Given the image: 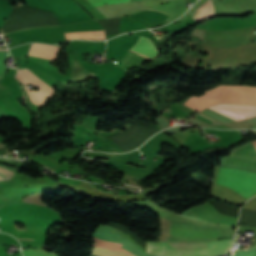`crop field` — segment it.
Returning a JSON list of instances; mask_svg holds the SVG:
<instances>
[{
    "label": "crop field",
    "instance_id": "crop-field-1",
    "mask_svg": "<svg viewBox=\"0 0 256 256\" xmlns=\"http://www.w3.org/2000/svg\"><path fill=\"white\" fill-rule=\"evenodd\" d=\"M233 239L206 243L151 242L147 252L157 256H214L228 252Z\"/></svg>",
    "mask_w": 256,
    "mask_h": 256
},
{
    "label": "crop field",
    "instance_id": "crop-field-2",
    "mask_svg": "<svg viewBox=\"0 0 256 256\" xmlns=\"http://www.w3.org/2000/svg\"><path fill=\"white\" fill-rule=\"evenodd\" d=\"M217 184L230 187L246 199L256 193V173L220 167Z\"/></svg>",
    "mask_w": 256,
    "mask_h": 256
},
{
    "label": "crop field",
    "instance_id": "crop-field-3",
    "mask_svg": "<svg viewBox=\"0 0 256 256\" xmlns=\"http://www.w3.org/2000/svg\"><path fill=\"white\" fill-rule=\"evenodd\" d=\"M18 70V74H17V78L19 79V81L22 84H31L33 86H35L36 88H38V91H29L27 89L26 86H24L26 92L48 102V98L49 97H53V95L55 94L54 92V88L50 87L49 85H47L45 82H43L40 78H38L35 74H33L28 68H17ZM29 98L31 100V102H33L34 104L38 105V106H42L43 104H45V102L29 95Z\"/></svg>",
    "mask_w": 256,
    "mask_h": 256
},
{
    "label": "crop field",
    "instance_id": "crop-field-4",
    "mask_svg": "<svg viewBox=\"0 0 256 256\" xmlns=\"http://www.w3.org/2000/svg\"><path fill=\"white\" fill-rule=\"evenodd\" d=\"M132 49L136 50V51H139L143 54H146L150 57H156L158 56V51L157 49L155 48V46L153 45V43L150 41V39L148 38H145V37H142L140 36L139 40L137 41V43L132 47ZM130 49V51L132 52H135L137 54H140L142 56H145L147 58H150L146 55H143L139 52H136L134 50ZM128 51L125 56L123 57L122 61L118 64L120 67H122L123 69H125L126 71L149 60L145 57H142L140 55H137L135 53H132ZM124 70V71H125Z\"/></svg>",
    "mask_w": 256,
    "mask_h": 256
},
{
    "label": "crop field",
    "instance_id": "crop-field-5",
    "mask_svg": "<svg viewBox=\"0 0 256 256\" xmlns=\"http://www.w3.org/2000/svg\"><path fill=\"white\" fill-rule=\"evenodd\" d=\"M209 108L237 121L256 116V106L239 104H217Z\"/></svg>",
    "mask_w": 256,
    "mask_h": 256
},
{
    "label": "crop field",
    "instance_id": "crop-field-6",
    "mask_svg": "<svg viewBox=\"0 0 256 256\" xmlns=\"http://www.w3.org/2000/svg\"><path fill=\"white\" fill-rule=\"evenodd\" d=\"M96 8L107 18L121 17L139 11L135 2L98 6Z\"/></svg>",
    "mask_w": 256,
    "mask_h": 256
},
{
    "label": "crop field",
    "instance_id": "crop-field-7",
    "mask_svg": "<svg viewBox=\"0 0 256 256\" xmlns=\"http://www.w3.org/2000/svg\"><path fill=\"white\" fill-rule=\"evenodd\" d=\"M94 239L96 240V242L94 244L96 246L103 247V248H106V249H111V250L127 252L126 250H124L121 247L122 244L102 241V240H99L97 238H94ZM99 247L94 246L93 251L91 253L92 256H134L130 253L110 251V250L102 249V248H99Z\"/></svg>",
    "mask_w": 256,
    "mask_h": 256
},
{
    "label": "crop field",
    "instance_id": "crop-field-8",
    "mask_svg": "<svg viewBox=\"0 0 256 256\" xmlns=\"http://www.w3.org/2000/svg\"><path fill=\"white\" fill-rule=\"evenodd\" d=\"M60 47L33 44L28 56L32 58L55 61Z\"/></svg>",
    "mask_w": 256,
    "mask_h": 256
},
{
    "label": "crop field",
    "instance_id": "crop-field-9",
    "mask_svg": "<svg viewBox=\"0 0 256 256\" xmlns=\"http://www.w3.org/2000/svg\"><path fill=\"white\" fill-rule=\"evenodd\" d=\"M250 29L251 28L221 32L206 31L205 40L250 38Z\"/></svg>",
    "mask_w": 256,
    "mask_h": 256
},
{
    "label": "crop field",
    "instance_id": "crop-field-10",
    "mask_svg": "<svg viewBox=\"0 0 256 256\" xmlns=\"http://www.w3.org/2000/svg\"><path fill=\"white\" fill-rule=\"evenodd\" d=\"M171 234L183 237H217V231L192 230L175 225L171 226Z\"/></svg>",
    "mask_w": 256,
    "mask_h": 256
},
{
    "label": "crop field",
    "instance_id": "crop-field-11",
    "mask_svg": "<svg viewBox=\"0 0 256 256\" xmlns=\"http://www.w3.org/2000/svg\"><path fill=\"white\" fill-rule=\"evenodd\" d=\"M196 13L192 18L200 22L214 15V6L212 0L204 3L198 9L194 11Z\"/></svg>",
    "mask_w": 256,
    "mask_h": 256
},
{
    "label": "crop field",
    "instance_id": "crop-field-12",
    "mask_svg": "<svg viewBox=\"0 0 256 256\" xmlns=\"http://www.w3.org/2000/svg\"><path fill=\"white\" fill-rule=\"evenodd\" d=\"M24 256H57L46 251L39 250H26L24 251Z\"/></svg>",
    "mask_w": 256,
    "mask_h": 256
},
{
    "label": "crop field",
    "instance_id": "crop-field-13",
    "mask_svg": "<svg viewBox=\"0 0 256 256\" xmlns=\"http://www.w3.org/2000/svg\"><path fill=\"white\" fill-rule=\"evenodd\" d=\"M15 172L0 167V182L9 181Z\"/></svg>",
    "mask_w": 256,
    "mask_h": 256
},
{
    "label": "crop field",
    "instance_id": "crop-field-14",
    "mask_svg": "<svg viewBox=\"0 0 256 256\" xmlns=\"http://www.w3.org/2000/svg\"><path fill=\"white\" fill-rule=\"evenodd\" d=\"M8 51H0V79L6 71L4 61L7 57Z\"/></svg>",
    "mask_w": 256,
    "mask_h": 256
},
{
    "label": "crop field",
    "instance_id": "crop-field-15",
    "mask_svg": "<svg viewBox=\"0 0 256 256\" xmlns=\"http://www.w3.org/2000/svg\"><path fill=\"white\" fill-rule=\"evenodd\" d=\"M201 115V114H200ZM203 116V115H202ZM205 117V116H204ZM207 118V117H206ZM209 119V118H208ZM211 120V119H210ZM214 121V120H213Z\"/></svg>",
    "mask_w": 256,
    "mask_h": 256
}]
</instances>
